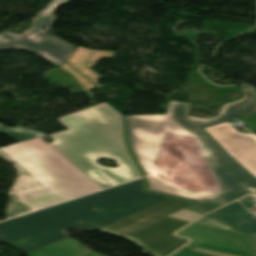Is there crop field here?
<instances>
[{
	"label": "crop field",
	"instance_id": "1",
	"mask_svg": "<svg viewBox=\"0 0 256 256\" xmlns=\"http://www.w3.org/2000/svg\"><path fill=\"white\" fill-rule=\"evenodd\" d=\"M121 116L104 102L58 118L69 130L47 135L51 144L44 136L0 148L45 184L19 192L33 211L110 187L97 171L112 186L141 177L126 150ZM99 157L116 160L118 168L98 165Z\"/></svg>",
	"mask_w": 256,
	"mask_h": 256
},
{
	"label": "crop field",
	"instance_id": "2",
	"mask_svg": "<svg viewBox=\"0 0 256 256\" xmlns=\"http://www.w3.org/2000/svg\"><path fill=\"white\" fill-rule=\"evenodd\" d=\"M241 101L224 105L218 117L186 116L189 104L171 101L166 115L125 116L129 146L147 181L148 190L197 201L189 207L207 213L256 190V179L244 171L201 127L255 113L252 89ZM165 133L195 137L222 192L195 193L158 177L153 163Z\"/></svg>",
	"mask_w": 256,
	"mask_h": 256
},
{
	"label": "crop field",
	"instance_id": "3",
	"mask_svg": "<svg viewBox=\"0 0 256 256\" xmlns=\"http://www.w3.org/2000/svg\"><path fill=\"white\" fill-rule=\"evenodd\" d=\"M146 185L142 178L1 222L0 240L28 253L68 238L67 228L93 232L168 197L145 192Z\"/></svg>",
	"mask_w": 256,
	"mask_h": 256
},
{
	"label": "crop field",
	"instance_id": "4",
	"mask_svg": "<svg viewBox=\"0 0 256 256\" xmlns=\"http://www.w3.org/2000/svg\"><path fill=\"white\" fill-rule=\"evenodd\" d=\"M191 203L174 197L167 198L99 231L122 236L150 251L153 256H167L188 242L172 233L189 221L166 216Z\"/></svg>",
	"mask_w": 256,
	"mask_h": 256
},
{
	"label": "crop field",
	"instance_id": "5",
	"mask_svg": "<svg viewBox=\"0 0 256 256\" xmlns=\"http://www.w3.org/2000/svg\"><path fill=\"white\" fill-rule=\"evenodd\" d=\"M173 144L177 146H173ZM171 148L176 150V152L180 151L179 153L182 155L171 153L174 152L170 150ZM154 166L158 174L172 181H174L173 177H180L182 181H174L173 183L188 190L196 192L219 190L215 181H213L214 177L211 175L209 167L194 138L166 134ZM197 169L203 171L198 172ZM168 171L171 174H167ZM199 173L203 174L200 175ZM207 174L210 175L209 178H207ZM204 179L207 180L205 181ZM209 179L213 182L215 190L205 184ZM191 185L195 186L191 187Z\"/></svg>",
	"mask_w": 256,
	"mask_h": 256
},
{
	"label": "crop field",
	"instance_id": "6",
	"mask_svg": "<svg viewBox=\"0 0 256 256\" xmlns=\"http://www.w3.org/2000/svg\"><path fill=\"white\" fill-rule=\"evenodd\" d=\"M176 235L192 242L171 256H256V249L246 234L193 223Z\"/></svg>",
	"mask_w": 256,
	"mask_h": 256
},
{
	"label": "crop field",
	"instance_id": "7",
	"mask_svg": "<svg viewBox=\"0 0 256 256\" xmlns=\"http://www.w3.org/2000/svg\"><path fill=\"white\" fill-rule=\"evenodd\" d=\"M58 0H53L33 21L30 29L23 34L9 31L0 33V49L22 47L31 50L57 65H61L73 48L47 36L39 28L49 10Z\"/></svg>",
	"mask_w": 256,
	"mask_h": 256
},
{
	"label": "crop field",
	"instance_id": "8",
	"mask_svg": "<svg viewBox=\"0 0 256 256\" xmlns=\"http://www.w3.org/2000/svg\"><path fill=\"white\" fill-rule=\"evenodd\" d=\"M238 163L256 177V136L241 134L228 123L204 128Z\"/></svg>",
	"mask_w": 256,
	"mask_h": 256
},
{
	"label": "crop field",
	"instance_id": "9",
	"mask_svg": "<svg viewBox=\"0 0 256 256\" xmlns=\"http://www.w3.org/2000/svg\"><path fill=\"white\" fill-rule=\"evenodd\" d=\"M240 202L254 212L256 210V193L240 199ZM253 212L244 209L239 202L235 201L208 215L220 219L244 232L250 233L256 244V213Z\"/></svg>",
	"mask_w": 256,
	"mask_h": 256
},
{
	"label": "crop field",
	"instance_id": "10",
	"mask_svg": "<svg viewBox=\"0 0 256 256\" xmlns=\"http://www.w3.org/2000/svg\"><path fill=\"white\" fill-rule=\"evenodd\" d=\"M0 154L15 166L20 176V178L17 180V182L15 183V185L9 193L11 198L15 199V201L10 202L9 204L7 219L32 212V209L27 205V203L20 197V195L17 192L33 188L39 185H43V183H41L28 171L22 168L18 163H16L13 159L6 155L2 150H0Z\"/></svg>",
	"mask_w": 256,
	"mask_h": 256
},
{
	"label": "crop field",
	"instance_id": "11",
	"mask_svg": "<svg viewBox=\"0 0 256 256\" xmlns=\"http://www.w3.org/2000/svg\"><path fill=\"white\" fill-rule=\"evenodd\" d=\"M115 52L96 51L83 47H78L68 59V63L74 66L82 74L88 77L95 84L96 80L100 78L96 73L89 69L90 66L94 67L101 57L113 58Z\"/></svg>",
	"mask_w": 256,
	"mask_h": 256
},
{
	"label": "crop field",
	"instance_id": "12",
	"mask_svg": "<svg viewBox=\"0 0 256 256\" xmlns=\"http://www.w3.org/2000/svg\"><path fill=\"white\" fill-rule=\"evenodd\" d=\"M87 254L89 256H103L90 251V248L82 243L68 238L53 245L47 246L40 250L28 253V256H81Z\"/></svg>",
	"mask_w": 256,
	"mask_h": 256
},
{
	"label": "crop field",
	"instance_id": "13",
	"mask_svg": "<svg viewBox=\"0 0 256 256\" xmlns=\"http://www.w3.org/2000/svg\"><path fill=\"white\" fill-rule=\"evenodd\" d=\"M0 132L18 140V141H23V140H27V139L45 135V134L30 130V129H27L24 127L7 128L2 125H0Z\"/></svg>",
	"mask_w": 256,
	"mask_h": 256
},
{
	"label": "crop field",
	"instance_id": "14",
	"mask_svg": "<svg viewBox=\"0 0 256 256\" xmlns=\"http://www.w3.org/2000/svg\"><path fill=\"white\" fill-rule=\"evenodd\" d=\"M61 68L69 72L84 89H90L95 87L92 83L83 78L80 74H78L66 63Z\"/></svg>",
	"mask_w": 256,
	"mask_h": 256
},
{
	"label": "crop field",
	"instance_id": "15",
	"mask_svg": "<svg viewBox=\"0 0 256 256\" xmlns=\"http://www.w3.org/2000/svg\"><path fill=\"white\" fill-rule=\"evenodd\" d=\"M196 223H200V224H204V225H208V226H213V227L235 230V229L229 227L228 225H226L225 223H223V222H221L217 219L208 217V216L196 221ZM235 231H237V230H235Z\"/></svg>",
	"mask_w": 256,
	"mask_h": 256
},
{
	"label": "crop field",
	"instance_id": "16",
	"mask_svg": "<svg viewBox=\"0 0 256 256\" xmlns=\"http://www.w3.org/2000/svg\"><path fill=\"white\" fill-rule=\"evenodd\" d=\"M201 215L202 214H198V213L183 209V210H181L177 213H174V214L170 215L169 217H174V218H179V219L192 221V220L198 218Z\"/></svg>",
	"mask_w": 256,
	"mask_h": 256
},
{
	"label": "crop field",
	"instance_id": "17",
	"mask_svg": "<svg viewBox=\"0 0 256 256\" xmlns=\"http://www.w3.org/2000/svg\"><path fill=\"white\" fill-rule=\"evenodd\" d=\"M65 1H68V0H59L55 6L50 10V12L47 14L42 26H41V30L45 31L46 32V28L49 27V25L51 24L52 20H53V17L50 15V13L52 12L53 9H55L59 4L65 2Z\"/></svg>",
	"mask_w": 256,
	"mask_h": 256
},
{
	"label": "crop field",
	"instance_id": "18",
	"mask_svg": "<svg viewBox=\"0 0 256 256\" xmlns=\"http://www.w3.org/2000/svg\"><path fill=\"white\" fill-rule=\"evenodd\" d=\"M83 256H87V255H83Z\"/></svg>",
	"mask_w": 256,
	"mask_h": 256
}]
</instances>
